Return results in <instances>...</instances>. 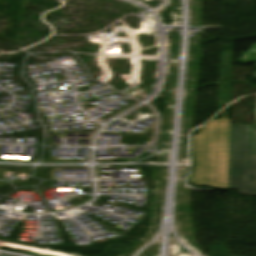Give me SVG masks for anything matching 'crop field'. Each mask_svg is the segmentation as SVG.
Listing matches in <instances>:
<instances>
[{
  "label": "crop field",
  "instance_id": "8a807250",
  "mask_svg": "<svg viewBox=\"0 0 256 256\" xmlns=\"http://www.w3.org/2000/svg\"><path fill=\"white\" fill-rule=\"evenodd\" d=\"M230 120H213L192 136L195 171L190 184L228 188Z\"/></svg>",
  "mask_w": 256,
  "mask_h": 256
},
{
  "label": "crop field",
  "instance_id": "ac0d7876",
  "mask_svg": "<svg viewBox=\"0 0 256 256\" xmlns=\"http://www.w3.org/2000/svg\"><path fill=\"white\" fill-rule=\"evenodd\" d=\"M229 188L256 196V156L251 155V125H231Z\"/></svg>",
  "mask_w": 256,
  "mask_h": 256
},
{
  "label": "crop field",
  "instance_id": "34b2d1b8",
  "mask_svg": "<svg viewBox=\"0 0 256 256\" xmlns=\"http://www.w3.org/2000/svg\"><path fill=\"white\" fill-rule=\"evenodd\" d=\"M253 154H256V130H254Z\"/></svg>",
  "mask_w": 256,
  "mask_h": 256
},
{
  "label": "crop field",
  "instance_id": "412701ff",
  "mask_svg": "<svg viewBox=\"0 0 256 256\" xmlns=\"http://www.w3.org/2000/svg\"><path fill=\"white\" fill-rule=\"evenodd\" d=\"M254 66H256V64H255ZM253 77H255V78H256V72H254V73H253Z\"/></svg>",
  "mask_w": 256,
  "mask_h": 256
}]
</instances>
